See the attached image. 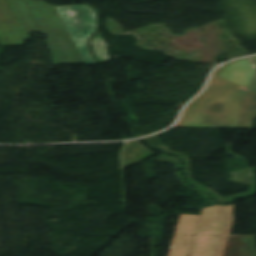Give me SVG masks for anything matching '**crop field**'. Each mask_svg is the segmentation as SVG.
<instances>
[{
  "instance_id": "obj_1",
  "label": "crop field",
  "mask_w": 256,
  "mask_h": 256,
  "mask_svg": "<svg viewBox=\"0 0 256 256\" xmlns=\"http://www.w3.org/2000/svg\"><path fill=\"white\" fill-rule=\"evenodd\" d=\"M29 32L48 36L54 65L85 64L51 5L40 1L0 0V45H23Z\"/></svg>"
},
{
  "instance_id": "obj_2",
  "label": "crop field",
  "mask_w": 256,
  "mask_h": 256,
  "mask_svg": "<svg viewBox=\"0 0 256 256\" xmlns=\"http://www.w3.org/2000/svg\"><path fill=\"white\" fill-rule=\"evenodd\" d=\"M234 206L203 209L189 256H222L233 222ZM200 216H180L169 256H187Z\"/></svg>"
},
{
  "instance_id": "obj_3",
  "label": "crop field",
  "mask_w": 256,
  "mask_h": 256,
  "mask_svg": "<svg viewBox=\"0 0 256 256\" xmlns=\"http://www.w3.org/2000/svg\"><path fill=\"white\" fill-rule=\"evenodd\" d=\"M53 7L81 53L86 65L97 64L98 62L92 56L89 46V39L99 29V14L97 10L88 5H53Z\"/></svg>"
},
{
  "instance_id": "obj_4",
  "label": "crop field",
  "mask_w": 256,
  "mask_h": 256,
  "mask_svg": "<svg viewBox=\"0 0 256 256\" xmlns=\"http://www.w3.org/2000/svg\"><path fill=\"white\" fill-rule=\"evenodd\" d=\"M93 53L95 57L101 62L110 61L106 45L103 41L101 32H99L91 41Z\"/></svg>"
}]
</instances>
